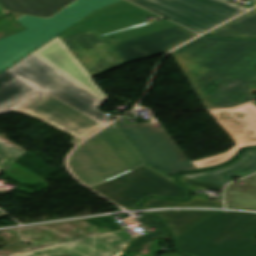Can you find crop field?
<instances>
[{
    "label": "crop field",
    "mask_w": 256,
    "mask_h": 256,
    "mask_svg": "<svg viewBox=\"0 0 256 256\" xmlns=\"http://www.w3.org/2000/svg\"><path fill=\"white\" fill-rule=\"evenodd\" d=\"M107 95L57 37L0 74V114L39 119L76 145L117 117L98 108Z\"/></svg>",
    "instance_id": "1"
},
{
    "label": "crop field",
    "mask_w": 256,
    "mask_h": 256,
    "mask_svg": "<svg viewBox=\"0 0 256 256\" xmlns=\"http://www.w3.org/2000/svg\"><path fill=\"white\" fill-rule=\"evenodd\" d=\"M172 54L205 108L256 99V40L203 35Z\"/></svg>",
    "instance_id": "2"
},
{
    "label": "crop field",
    "mask_w": 256,
    "mask_h": 256,
    "mask_svg": "<svg viewBox=\"0 0 256 256\" xmlns=\"http://www.w3.org/2000/svg\"><path fill=\"white\" fill-rule=\"evenodd\" d=\"M196 35L177 25L118 43L113 39L99 42L90 30L61 40L92 76L128 61L167 52Z\"/></svg>",
    "instance_id": "3"
},
{
    "label": "crop field",
    "mask_w": 256,
    "mask_h": 256,
    "mask_svg": "<svg viewBox=\"0 0 256 256\" xmlns=\"http://www.w3.org/2000/svg\"><path fill=\"white\" fill-rule=\"evenodd\" d=\"M68 164L72 172L90 187L141 165L175 182L147 165L115 123L77 147Z\"/></svg>",
    "instance_id": "4"
},
{
    "label": "crop field",
    "mask_w": 256,
    "mask_h": 256,
    "mask_svg": "<svg viewBox=\"0 0 256 256\" xmlns=\"http://www.w3.org/2000/svg\"><path fill=\"white\" fill-rule=\"evenodd\" d=\"M256 215L216 211L176 239L191 256H256Z\"/></svg>",
    "instance_id": "5"
},
{
    "label": "crop field",
    "mask_w": 256,
    "mask_h": 256,
    "mask_svg": "<svg viewBox=\"0 0 256 256\" xmlns=\"http://www.w3.org/2000/svg\"><path fill=\"white\" fill-rule=\"evenodd\" d=\"M120 0H77L50 19L23 16L27 29L0 40V73L96 9Z\"/></svg>",
    "instance_id": "6"
},
{
    "label": "crop field",
    "mask_w": 256,
    "mask_h": 256,
    "mask_svg": "<svg viewBox=\"0 0 256 256\" xmlns=\"http://www.w3.org/2000/svg\"><path fill=\"white\" fill-rule=\"evenodd\" d=\"M159 17L126 0L99 9L64 31L60 38L90 29L99 41L113 38L116 42L177 25L171 21L151 22Z\"/></svg>",
    "instance_id": "7"
},
{
    "label": "crop field",
    "mask_w": 256,
    "mask_h": 256,
    "mask_svg": "<svg viewBox=\"0 0 256 256\" xmlns=\"http://www.w3.org/2000/svg\"><path fill=\"white\" fill-rule=\"evenodd\" d=\"M115 123L147 164L171 176L178 171L195 170L163 125L158 129L147 122L127 125L123 117Z\"/></svg>",
    "instance_id": "8"
},
{
    "label": "crop field",
    "mask_w": 256,
    "mask_h": 256,
    "mask_svg": "<svg viewBox=\"0 0 256 256\" xmlns=\"http://www.w3.org/2000/svg\"><path fill=\"white\" fill-rule=\"evenodd\" d=\"M92 188L127 209H133L148 194L184 198L187 192L182 186L143 166Z\"/></svg>",
    "instance_id": "9"
},
{
    "label": "crop field",
    "mask_w": 256,
    "mask_h": 256,
    "mask_svg": "<svg viewBox=\"0 0 256 256\" xmlns=\"http://www.w3.org/2000/svg\"><path fill=\"white\" fill-rule=\"evenodd\" d=\"M200 33L246 11L218 0H132Z\"/></svg>",
    "instance_id": "10"
},
{
    "label": "crop field",
    "mask_w": 256,
    "mask_h": 256,
    "mask_svg": "<svg viewBox=\"0 0 256 256\" xmlns=\"http://www.w3.org/2000/svg\"><path fill=\"white\" fill-rule=\"evenodd\" d=\"M208 111L232 137L236 145L223 154L192 161L196 169L224 163L241 148L256 145V105L249 103L233 109Z\"/></svg>",
    "instance_id": "11"
},
{
    "label": "crop field",
    "mask_w": 256,
    "mask_h": 256,
    "mask_svg": "<svg viewBox=\"0 0 256 256\" xmlns=\"http://www.w3.org/2000/svg\"><path fill=\"white\" fill-rule=\"evenodd\" d=\"M131 242L121 230L11 256H120Z\"/></svg>",
    "instance_id": "12"
},
{
    "label": "crop field",
    "mask_w": 256,
    "mask_h": 256,
    "mask_svg": "<svg viewBox=\"0 0 256 256\" xmlns=\"http://www.w3.org/2000/svg\"><path fill=\"white\" fill-rule=\"evenodd\" d=\"M256 172V149L246 150L233 163L212 170L194 174L182 175V177L203 180L226 185L233 176L242 178Z\"/></svg>",
    "instance_id": "13"
},
{
    "label": "crop field",
    "mask_w": 256,
    "mask_h": 256,
    "mask_svg": "<svg viewBox=\"0 0 256 256\" xmlns=\"http://www.w3.org/2000/svg\"><path fill=\"white\" fill-rule=\"evenodd\" d=\"M244 180L242 185L230 183L225 189L227 207L256 209V174Z\"/></svg>",
    "instance_id": "14"
},
{
    "label": "crop field",
    "mask_w": 256,
    "mask_h": 256,
    "mask_svg": "<svg viewBox=\"0 0 256 256\" xmlns=\"http://www.w3.org/2000/svg\"><path fill=\"white\" fill-rule=\"evenodd\" d=\"M214 211H160V215L171 229L175 239L188 231Z\"/></svg>",
    "instance_id": "15"
},
{
    "label": "crop field",
    "mask_w": 256,
    "mask_h": 256,
    "mask_svg": "<svg viewBox=\"0 0 256 256\" xmlns=\"http://www.w3.org/2000/svg\"><path fill=\"white\" fill-rule=\"evenodd\" d=\"M207 35L256 38V9L207 33Z\"/></svg>",
    "instance_id": "16"
},
{
    "label": "crop field",
    "mask_w": 256,
    "mask_h": 256,
    "mask_svg": "<svg viewBox=\"0 0 256 256\" xmlns=\"http://www.w3.org/2000/svg\"><path fill=\"white\" fill-rule=\"evenodd\" d=\"M71 0H0L9 10L49 16Z\"/></svg>",
    "instance_id": "17"
},
{
    "label": "crop field",
    "mask_w": 256,
    "mask_h": 256,
    "mask_svg": "<svg viewBox=\"0 0 256 256\" xmlns=\"http://www.w3.org/2000/svg\"><path fill=\"white\" fill-rule=\"evenodd\" d=\"M160 206H214V207H223L222 202L210 201V200L191 199L190 202L181 203V202H176V201L150 198L145 203H143L140 206V208L160 207Z\"/></svg>",
    "instance_id": "18"
},
{
    "label": "crop field",
    "mask_w": 256,
    "mask_h": 256,
    "mask_svg": "<svg viewBox=\"0 0 256 256\" xmlns=\"http://www.w3.org/2000/svg\"><path fill=\"white\" fill-rule=\"evenodd\" d=\"M138 220L142 224H153L156 227L160 228L161 230H159L155 233H152L150 235H144L139 238L133 239L135 242L133 241L134 243H132L127 250L137 252L138 249L143 245V243L146 240H148L152 237L168 236V233L164 230L163 226L159 223V221L156 218H154L152 216H144V217L138 218Z\"/></svg>",
    "instance_id": "19"
},
{
    "label": "crop field",
    "mask_w": 256,
    "mask_h": 256,
    "mask_svg": "<svg viewBox=\"0 0 256 256\" xmlns=\"http://www.w3.org/2000/svg\"><path fill=\"white\" fill-rule=\"evenodd\" d=\"M23 152L8 148L0 144V170L5 169L17 158H19Z\"/></svg>",
    "instance_id": "20"
},
{
    "label": "crop field",
    "mask_w": 256,
    "mask_h": 256,
    "mask_svg": "<svg viewBox=\"0 0 256 256\" xmlns=\"http://www.w3.org/2000/svg\"><path fill=\"white\" fill-rule=\"evenodd\" d=\"M179 179L181 180L182 183H185V184L199 186V187L213 189V190L222 191V189L225 187L223 185L202 182V181H197V180H192V179H187V178H182V177H179Z\"/></svg>",
    "instance_id": "21"
},
{
    "label": "crop field",
    "mask_w": 256,
    "mask_h": 256,
    "mask_svg": "<svg viewBox=\"0 0 256 256\" xmlns=\"http://www.w3.org/2000/svg\"><path fill=\"white\" fill-rule=\"evenodd\" d=\"M0 143L4 144L5 146H9L12 148H15L17 150H20L19 148L15 147L14 145H12L11 143L7 142L6 140H4L3 138L0 137ZM22 151V150H21Z\"/></svg>",
    "instance_id": "22"
},
{
    "label": "crop field",
    "mask_w": 256,
    "mask_h": 256,
    "mask_svg": "<svg viewBox=\"0 0 256 256\" xmlns=\"http://www.w3.org/2000/svg\"><path fill=\"white\" fill-rule=\"evenodd\" d=\"M124 222H125L126 225L129 224V223H131V222L137 224V222H136L132 217H131V218H128V219H126V220H124Z\"/></svg>",
    "instance_id": "23"
},
{
    "label": "crop field",
    "mask_w": 256,
    "mask_h": 256,
    "mask_svg": "<svg viewBox=\"0 0 256 256\" xmlns=\"http://www.w3.org/2000/svg\"><path fill=\"white\" fill-rule=\"evenodd\" d=\"M160 256H182L176 253H171V254H164V255H160Z\"/></svg>",
    "instance_id": "24"
},
{
    "label": "crop field",
    "mask_w": 256,
    "mask_h": 256,
    "mask_svg": "<svg viewBox=\"0 0 256 256\" xmlns=\"http://www.w3.org/2000/svg\"><path fill=\"white\" fill-rule=\"evenodd\" d=\"M4 14V9L0 6V16Z\"/></svg>",
    "instance_id": "25"
},
{
    "label": "crop field",
    "mask_w": 256,
    "mask_h": 256,
    "mask_svg": "<svg viewBox=\"0 0 256 256\" xmlns=\"http://www.w3.org/2000/svg\"><path fill=\"white\" fill-rule=\"evenodd\" d=\"M224 1L229 2V1H231V0H224ZM251 2H252V4L256 5V0H251Z\"/></svg>",
    "instance_id": "26"
},
{
    "label": "crop field",
    "mask_w": 256,
    "mask_h": 256,
    "mask_svg": "<svg viewBox=\"0 0 256 256\" xmlns=\"http://www.w3.org/2000/svg\"><path fill=\"white\" fill-rule=\"evenodd\" d=\"M5 216L3 212L0 211V217Z\"/></svg>",
    "instance_id": "27"
},
{
    "label": "crop field",
    "mask_w": 256,
    "mask_h": 256,
    "mask_svg": "<svg viewBox=\"0 0 256 256\" xmlns=\"http://www.w3.org/2000/svg\"><path fill=\"white\" fill-rule=\"evenodd\" d=\"M65 256H67V255H65Z\"/></svg>",
    "instance_id": "28"
}]
</instances>
